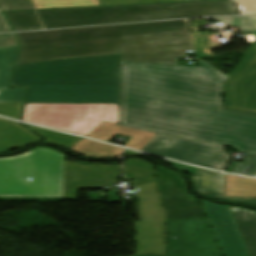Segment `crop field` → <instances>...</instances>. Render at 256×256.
<instances>
[{"label": "crop field", "instance_id": "120bbe31", "mask_svg": "<svg viewBox=\"0 0 256 256\" xmlns=\"http://www.w3.org/2000/svg\"><path fill=\"white\" fill-rule=\"evenodd\" d=\"M19 46L13 34L0 35V48Z\"/></svg>", "mask_w": 256, "mask_h": 256}, {"label": "crop field", "instance_id": "e1f06a70", "mask_svg": "<svg viewBox=\"0 0 256 256\" xmlns=\"http://www.w3.org/2000/svg\"><path fill=\"white\" fill-rule=\"evenodd\" d=\"M189 22H190L192 32L199 31L194 19H190Z\"/></svg>", "mask_w": 256, "mask_h": 256}, {"label": "crop field", "instance_id": "028f5c9d", "mask_svg": "<svg viewBox=\"0 0 256 256\" xmlns=\"http://www.w3.org/2000/svg\"><path fill=\"white\" fill-rule=\"evenodd\" d=\"M109 203L119 202L118 191L108 192Z\"/></svg>", "mask_w": 256, "mask_h": 256}, {"label": "crop field", "instance_id": "214f88e0", "mask_svg": "<svg viewBox=\"0 0 256 256\" xmlns=\"http://www.w3.org/2000/svg\"><path fill=\"white\" fill-rule=\"evenodd\" d=\"M70 150L75 151L81 155H85L87 157L94 158H111L120 156L122 153V149L112 147L109 145L89 141L82 139L77 144H75Z\"/></svg>", "mask_w": 256, "mask_h": 256}, {"label": "crop field", "instance_id": "733c2abd", "mask_svg": "<svg viewBox=\"0 0 256 256\" xmlns=\"http://www.w3.org/2000/svg\"><path fill=\"white\" fill-rule=\"evenodd\" d=\"M41 141L42 139L19 124L0 118V153L13 147L22 148Z\"/></svg>", "mask_w": 256, "mask_h": 256}, {"label": "crop field", "instance_id": "f4fd0767", "mask_svg": "<svg viewBox=\"0 0 256 256\" xmlns=\"http://www.w3.org/2000/svg\"><path fill=\"white\" fill-rule=\"evenodd\" d=\"M123 180H134L138 194V213L141 222H135L138 251L135 256L164 255L165 213L156 190L153 165L139 159L125 161Z\"/></svg>", "mask_w": 256, "mask_h": 256}, {"label": "crop field", "instance_id": "dd49c442", "mask_svg": "<svg viewBox=\"0 0 256 256\" xmlns=\"http://www.w3.org/2000/svg\"><path fill=\"white\" fill-rule=\"evenodd\" d=\"M22 120L86 136L104 122L118 125L119 104H26Z\"/></svg>", "mask_w": 256, "mask_h": 256}, {"label": "crop field", "instance_id": "d3111659", "mask_svg": "<svg viewBox=\"0 0 256 256\" xmlns=\"http://www.w3.org/2000/svg\"><path fill=\"white\" fill-rule=\"evenodd\" d=\"M25 89L26 87L13 90H1L0 102L23 103Z\"/></svg>", "mask_w": 256, "mask_h": 256}, {"label": "crop field", "instance_id": "5866460e", "mask_svg": "<svg viewBox=\"0 0 256 256\" xmlns=\"http://www.w3.org/2000/svg\"><path fill=\"white\" fill-rule=\"evenodd\" d=\"M8 31H11V29L7 24L6 20L4 19L2 13L0 12V32H8Z\"/></svg>", "mask_w": 256, "mask_h": 256}, {"label": "crop field", "instance_id": "e52e79f7", "mask_svg": "<svg viewBox=\"0 0 256 256\" xmlns=\"http://www.w3.org/2000/svg\"><path fill=\"white\" fill-rule=\"evenodd\" d=\"M120 74V55L16 66L12 87Z\"/></svg>", "mask_w": 256, "mask_h": 256}, {"label": "crop field", "instance_id": "92a150f3", "mask_svg": "<svg viewBox=\"0 0 256 256\" xmlns=\"http://www.w3.org/2000/svg\"><path fill=\"white\" fill-rule=\"evenodd\" d=\"M226 196L256 198V180L227 176Z\"/></svg>", "mask_w": 256, "mask_h": 256}, {"label": "crop field", "instance_id": "5a996713", "mask_svg": "<svg viewBox=\"0 0 256 256\" xmlns=\"http://www.w3.org/2000/svg\"><path fill=\"white\" fill-rule=\"evenodd\" d=\"M183 50H192L188 30L125 36L121 61L176 65L174 51Z\"/></svg>", "mask_w": 256, "mask_h": 256}, {"label": "crop field", "instance_id": "a9b5d70f", "mask_svg": "<svg viewBox=\"0 0 256 256\" xmlns=\"http://www.w3.org/2000/svg\"><path fill=\"white\" fill-rule=\"evenodd\" d=\"M14 31L41 29L33 11L5 13Z\"/></svg>", "mask_w": 256, "mask_h": 256}, {"label": "crop field", "instance_id": "0bd39190", "mask_svg": "<svg viewBox=\"0 0 256 256\" xmlns=\"http://www.w3.org/2000/svg\"><path fill=\"white\" fill-rule=\"evenodd\" d=\"M127 154H140V153L125 150V152H124V154H123V155H127Z\"/></svg>", "mask_w": 256, "mask_h": 256}, {"label": "crop field", "instance_id": "28ad6ade", "mask_svg": "<svg viewBox=\"0 0 256 256\" xmlns=\"http://www.w3.org/2000/svg\"><path fill=\"white\" fill-rule=\"evenodd\" d=\"M208 226V220L167 222V256H221Z\"/></svg>", "mask_w": 256, "mask_h": 256}, {"label": "crop field", "instance_id": "ae1a2a85", "mask_svg": "<svg viewBox=\"0 0 256 256\" xmlns=\"http://www.w3.org/2000/svg\"><path fill=\"white\" fill-rule=\"evenodd\" d=\"M242 160L232 173L256 177V155L246 154Z\"/></svg>", "mask_w": 256, "mask_h": 256}, {"label": "crop field", "instance_id": "750c4746", "mask_svg": "<svg viewBox=\"0 0 256 256\" xmlns=\"http://www.w3.org/2000/svg\"><path fill=\"white\" fill-rule=\"evenodd\" d=\"M2 11L33 9L29 0H0Z\"/></svg>", "mask_w": 256, "mask_h": 256}, {"label": "crop field", "instance_id": "412701ff", "mask_svg": "<svg viewBox=\"0 0 256 256\" xmlns=\"http://www.w3.org/2000/svg\"><path fill=\"white\" fill-rule=\"evenodd\" d=\"M65 155L37 148L14 159H0V196L62 197ZM27 177L32 181L27 182Z\"/></svg>", "mask_w": 256, "mask_h": 256}, {"label": "crop field", "instance_id": "ac0d7876", "mask_svg": "<svg viewBox=\"0 0 256 256\" xmlns=\"http://www.w3.org/2000/svg\"><path fill=\"white\" fill-rule=\"evenodd\" d=\"M188 29L186 20L16 34L17 64L120 54L121 36Z\"/></svg>", "mask_w": 256, "mask_h": 256}, {"label": "crop field", "instance_id": "00972430", "mask_svg": "<svg viewBox=\"0 0 256 256\" xmlns=\"http://www.w3.org/2000/svg\"><path fill=\"white\" fill-rule=\"evenodd\" d=\"M192 38L197 61L211 56L210 50L220 47L215 35H208L207 32L192 33Z\"/></svg>", "mask_w": 256, "mask_h": 256}, {"label": "crop field", "instance_id": "4177f3b9", "mask_svg": "<svg viewBox=\"0 0 256 256\" xmlns=\"http://www.w3.org/2000/svg\"><path fill=\"white\" fill-rule=\"evenodd\" d=\"M36 9L101 6L99 0H32Z\"/></svg>", "mask_w": 256, "mask_h": 256}, {"label": "crop field", "instance_id": "eef30255", "mask_svg": "<svg viewBox=\"0 0 256 256\" xmlns=\"http://www.w3.org/2000/svg\"><path fill=\"white\" fill-rule=\"evenodd\" d=\"M217 21L224 22L231 26L239 28L245 35H252L253 33L246 34L251 30H256V16H245V17H224V18H213Z\"/></svg>", "mask_w": 256, "mask_h": 256}, {"label": "crop field", "instance_id": "8a807250", "mask_svg": "<svg viewBox=\"0 0 256 256\" xmlns=\"http://www.w3.org/2000/svg\"><path fill=\"white\" fill-rule=\"evenodd\" d=\"M198 64L121 62L119 125L256 154V115L223 110L227 76Z\"/></svg>", "mask_w": 256, "mask_h": 256}, {"label": "crop field", "instance_id": "d8731c3e", "mask_svg": "<svg viewBox=\"0 0 256 256\" xmlns=\"http://www.w3.org/2000/svg\"><path fill=\"white\" fill-rule=\"evenodd\" d=\"M120 75L29 86L26 103H119Z\"/></svg>", "mask_w": 256, "mask_h": 256}, {"label": "crop field", "instance_id": "b80d0937", "mask_svg": "<svg viewBox=\"0 0 256 256\" xmlns=\"http://www.w3.org/2000/svg\"><path fill=\"white\" fill-rule=\"evenodd\" d=\"M184 1H197V0H184Z\"/></svg>", "mask_w": 256, "mask_h": 256}, {"label": "crop field", "instance_id": "dafd665d", "mask_svg": "<svg viewBox=\"0 0 256 256\" xmlns=\"http://www.w3.org/2000/svg\"><path fill=\"white\" fill-rule=\"evenodd\" d=\"M19 47L0 49V90L8 89Z\"/></svg>", "mask_w": 256, "mask_h": 256}, {"label": "crop field", "instance_id": "3316defc", "mask_svg": "<svg viewBox=\"0 0 256 256\" xmlns=\"http://www.w3.org/2000/svg\"><path fill=\"white\" fill-rule=\"evenodd\" d=\"M223 148L158 134L142 151L223 171L232 158Z\"/></svg>", "mask_w": 256, "mask_h": 256}, {"label": "crop field", "instance_id": "cbeb9de0", "mask_svg": "<svg viewBox=\"0 0 256 256\" xmlns=\"http://www.w3.org/2000/svg\"><path fill=\"white\" fill-rule=\"evenodd\" d=\"M113 167L66 162L63 197H75L78 189L110 187L121 171V166Z\"/></svg>", "mask_w": 256, "mask_h": 256}, {"label": "crop field", "instance_id": "c21b1889", "mask_svg": "<svg viewBox=\"0 0 256 256\" xmlns=\"http://www.w3.org/2000/svg\"><path fill=\"white\" fill-rule=\"evenodd\" d=\"M24 155V154H23ZM21 156V155H20ZM18 157V156H17ZM12 158H14V157H12Z\"/></svg>", "mask_w": 256, "mask_h": 256}, {"label": "crop field", "instance_id": "bc2a9ffb", "mask_svg": "<svg viewBox=\"0 0 256 256\" xmlns=\"http://www.w3.org/2000/svg\"><path fill=\"white\" fill-rule=\"evenodd\" d=\"M249 256H256V212L228 206Z\"/></svg>", "mask_w": 256, "mask_h": 256}, {"label": "crop field", "instance_id": "22f410ed", "mask_svg": "<svg viewBox=\"0 0 256 256\" xmlns=\"http://www.w3.org/2000/svg\"><path fill=\"white\" fill-rule=\"evenodd\" d=\"M156 182L165 206L166 220L206 218L197 198L186 194L184 182L176 173L157 166Z\"/></svg>", "mask_w": 256, "mask_h": 256}, {"label": "crop field", "instance_id": "4a817a6b", "mask_svg": "<svg viewBox=\"0 0 256 256\" xmlns=\"http://www.w3.org/2000/svg\"><path fill=\"white\" fill-rule=\"evenodd\" d=\"M114 134L131 138L127 143L124 144V146L138 150H141L152 138L157 135L155 133L128 129L119 127L117 125L104 123L87 137L108 142Z\"/></svg>", "mask_w": 256, "mask_h": 256}, {"label": "crop field", "instance_id": "d9b57169", "mask_svg": "<svg viewBox=\"0 0 256 256\" xmlns=\"http://www.w3.org/2000/svg\"><path fill=\"white\" fill-rule=\"evenodd\" d=\"M196 192L221 201L243 202L256 205V199L225 197L224 175L200 169L192 177Z\"/></svg>", "mask_w": 256, "mask_h": 256}, {"label": "crop field", "instance_id": "bd1437ed", "mask_svg": "<svg viewBox=\"0 0 256 256\" xmlns=\"http://www.w3.org/2000/svg\"><path fill=\"white\" fill-rule=\"evenodd\" d=\"M23 104L0 103V115L19 120Z\"/></svg>", "mask_w": 256, "mask_h": 256}, {"label": "crop field", "instance_id": "5142ce71", "mask_svg": "<svg viewBox=\"0 0 256 256\" xmlns=\"http://www.w3.org/2000/svg\"><path fill=\"white\" fill-rule=\"evenodd\" d=\"M202 202L224 255L248 256L228 207L205 200Z\"/></svg>", "mask_w": 256, "mask_h": 256}, {"label": "crop field", "instance_id": "730fd06b", "mask_svg": "<svg viewBox=\"0 0 256 256\" xmlns=\"http://www.w3.org/2000/svg\"><path fill=\"white\" fill-rule=\"evenodd\" d=\"M27 128L31 129L35 133L39 134L40 136L44 137L46 140L44 142L54 143L60 146H63L67 149H69L72 145H74L76 142H78L81 138L25 125ZM72 148V147H71Z\"/></svg>", "mask_w": 256, "mask_h": 256}, {"label": "crop field", "instance_id": "1d83c4d3", "mask_svg": "<svg viewBox=\"0 0 256 256\" xmlns=\"http://www.w3.org/2000/svg\"><path fill=\"white\" fill-rule=\"evenodd\" d=\"M183 0H100L102 6L136 4V3H156V2H175Z\"/></svg>", "mask_w": 256, "mask_h": 256}, {"label": "crop field", "instance_id": "d1516ede", "mask_svg": "<svg viewBox=\"0 0 256 256\" xmlns=\"http://www.w3.org/2000/svg\"><path fill=\"white\" fill-rule=\"evenodd\" d=\"M225 108L256 113V45L224 82Z\"/></svg>", "mask_w": 256, "mask_h": 256}, {"label": "crop field", "instance_id": "c035e120", "mask_svg": "<svg viewBox=\"0 0 256 256\" xmlns=\"http://www.w3.org/2000/svg\"><path fill=\"white\" fill-rule=\"evenodd\" d=\"M254 34H255V36H256V31H252Z\"/></svg>", "mask_w": 256, "mask_h": 256}, {"label": "crop field", "instance_id": "34b2d1b8", "mask_svg": "<svg viewBox=\"0 0 256 256\" xmlns=\"http://www.w3.org/2000/svg\"><path fill=\"white\" fill-rule=\"evenodd\" d=\"M171 5H176L174 9ZM45 29L157 19L256 14V0H223L37 11Z\"/></svg>", "mask_w": 256, "mask_h": 256}, {"label": "crop field", "instance_id": "d32e631a", "mask_svg": "<svg viewBox=\"0 0 256 256\" xmlns=\"http://www.w3.org/2000/svg\"><path fill=\"white\" fill-rule=\"evenodd\" d=\"M164 163H167V164L173 165V166H175L177 168H180V169L190 173L191 175H193L196 171L199 170V168L182 165V164H179V163H176V162H172V161L164 160Z\"/></svg>", "mask_w": 256, "mask_h": 256}]
</instances>
